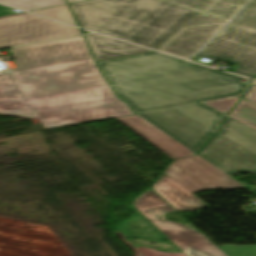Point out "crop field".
<instances>
[{"mask_svg":"<svg viewBox=\"0 0 256 256\" xmlns=\"http://www.w3.org/2000/svg\"><path fill=\"white\" fill-rule=\"evenodd\" d=\"M186 63L156 52L98 62L139 116L196 154L225 115L201 101L241 95L247 85L243 78ZM199 156L229 176L256 174V132L227 116Z\"/></svg>","mask_w":256,"mask_h":256,"instance_id":"8a807250","label":"crop field"},{"mask_svg":"<svg viewBox=\"0 0 256 256\" xmlns=\"http://www.w3.org/2000/svg\"><path fill=\"white\" fill-rule=\"evenodd\" d=\"M81 34L26 13L0 17V48ZM0 74V114L38 117L45 129L133 115L99 73L83 36L10 49Z\"/></svg>","mask_w":256,"mask_h":256,"instance_id":"ac0d7876","label":"crop field"},{"mask_svg":"<svg viewBox=\"0 0 256 256\" xmlns=\"http://www.w3.org/2000/svg\"><path fill=\"white\" fill-rule=\"evenodd\" d=\"M70 5L82 28L153 49L196 14L159 0H89Z\"/></svg>","mask_w":256,"mask_h":256,"instance_id":"34b2d1b8","label":"crop field"},{"mask_svg":"<svg viewBox=\"0 0 256 256\" xmlns=\"http://www.w3.org/2000/svg\"><path fill=\"white\" fill-rule=\"evenodd\" d=\"M196 57L227 61L239 66L233 73L254 78L256 32L231 23L192 59Z\"/></svg>","mask_w":256,"mask_h":256,"instance_id":"412701ff","label":"crop field"},{"mask_svg":"<svg viewBox=\"0 0 256 256\" xmlns=\"http://www.w3.org/2000/svg\"><path fill=\"white\" fill-rule=\"evenodd\" d=\"M132 205L181 250L190 248L206 256H228L201 232L189 229L182 224L156 219L149 210L162 209L171 212L175 210L150 189L137 198Z\"/></svg>","mask_w":256,"mask_h":256,"instance_id":"f4fd0767","label":"crop field"},{"mask_svg":"<svg viewBox=\"0 0 256 256\" xmlns=\"http://www.w3.org/2000/svg\"><path fill=\"white\" fill-rule=\"evenodd\" d=\"M184 167L188 168L190 171L195 173L197 176L202 178L204 181H206L216 189L222 187L215 184L211 180L223 186L224 188L222 189L242 188V186L234 181L232 178L218 171L213 166H211L206 161L196 155L174 162L171 166L168 167L167 171L165 172L192 193L209 190L212 187L197 176L191 174L190 171H188Z\"/></svg>","mask_w":256,"mask_h":256,"instance_id":"dd49c442","label":"crop field"},{"mask_svg":"<svg viewBox=\"0 0 256 256\" xmlns=\"http://www.w3.org/2000/svg\"><path fill=\"white\" fill-rule=\"evenodd\" d=\"M227 22L197 13L158 50L188 59Z\"/></svg>","mask_w":256,"mask_h":256,"instance_id":"e52e79f7","label":"crop field"},{"mask_svg":"<svg viewBox=\"0 0 256 256\" xmlns=\"http://www.w3.org/2000/svg\"><path fill=\"white\" fill-rule=\"evenodd\" d=\"M119 121L174 160L194 154L139 116L119 119Z\"/></svg>","mask_w":256,"mask_h":256,"instance_id":"d8731c3e","label":"crop field"},{"mask_svg":"<svg viewBox=\"0 0 256 256\" xmlns=\"http://www.w3.org/2000/svg\"><path fill=\"white\" fill-rule=\"evenodd\" d=\"M150 189L177 211H195L208 207L165 173Z\"/></svg>","mask_w":256,"mask_h":256,"instance_id":"5a996713","label":"crop field"},{"mask_svg":"<svg viewBox=\"0 0 256 256\" xmlns=\"http://www.w3.org/2000/svg\"><path fill=\"white\" fill-rule=\"evenodd\" d=\"M229 22L247 0H162Z\"/></svg>","mask_w":256,"mask_h":256,"instance_id":"3316defc","label":"crop field"},{"mask_svg":"<svg viewBox=\"0 0 256 256\" xmlns=\"http://www.w3.org/2000/svg\"><path fill=\"white\" fill-rule=\"evenodd\" d=\"M86 38L97 61L151 51L96 34L86 35Z\"/></svg>","mask_w":256,"mask_h":256,"instance_id":"28ad6ade","label":"crop field"},{"mask_svg":"<svg viewBox=\"0 0 256 256\" xmlns=\"http://www.w3.org/2000/svg\"><path fill=\"white\" fill-rule=\"evenodd\" d=\"M130 210L136 214L117 228L126 237L143 238L154 242H163L164 239L170 241L132 205Z\"/></svg>","mask_w":256,"mask_h":256,"instance_id":"d1516ede","label":"crop field"},{"mask_svg":"<svg viewBox=\"0 0 256 256\" xmlns=\"http://www.w3.org/2000/svg\"><path fill=\"white\" fill-rule=\"evenodd\" d=\"M228 116L256 131V105L242 99Z\"/></svg>","mask_w":256,"mask_h":256,"instance_id":"22f410ed","label":"crop field"},{"mask_svg":"<svg viewBox=\"0 0 256 256\" xmlns=\"http://www.w3.org/2000/svg\"><path fill=\"white\" fill-rule=\"evenodd\" d=\"M0 3L8 4L26 11L64 4V0H0Z\"/></svg>","mask_w":256,"mask_h":256,"instance_id":"cbeb9de0","label":"crop field"},{"mask_svg":"<svg viewBox=\"0 0 256 256\" xmlns=\"http://www.w3.org/2000/svg\"><path fill=\"white\" fill-rule=\"evenodd\" d=\"M33 13H37L46 17H50L56 20H60L66 23H70L73 25H76L74 22V19L68 9L67 4L65 5H59V6H55L52 8H47V9H38V10H34V11H30Z\"/></svg>","mask_w":256,"mask_h":256,"instance_id":"5142ce71","label":"crop field"},{"mask_svg":"<svg viewBox=\"0 0 256 256\" xmlns=\"http://www.w3.org/2000/svg\"><path fill=\"white\" fill-rule=\"evenodd\" d=\"M233 23L256 30V0H251Z\"/></svg>","mask_w":256,"mask_h":256,"instance_id":"d9b57169","label":"crop field"},{"mask_svg":"<svg viewBox=\"0 0 256 256\" xmlns=\"http://www.w3.org/2000/svg\"><path fill=\"white\" fill-rule=\"evenodd\" d=\"M220 248L229 256H256V246L238 247L224 245Z\"/></svg>","mask_w":256,"mask_h":256,"instance_id":"733c2abd","label":"crop field"},{"mask_svg":"<svg viewBox=\"0 0 256 256\" xmlns=\"http://www.w3.org/2000/svg\"><path fill=\"white\" fill-rule=\"evenodd\" d=\"M239 99H240V97H236V98L206 102V104L227 114L230 111V109L237 103V101Z\"/></svg>","mask_w":256,"mask_h":256,"instance_id":"4a817a6b","label":"crop field"},{"mask_svg":"<svg viewBox=\"0 0 256 256\" xmlns=\"http://www.w3.org/2000/svg\"><path fill=\"white\" fill-rule=\"evenodd\" d=\"M145 256H186L184 253H167L144 247H137Z\"/></svg>","mask_w":256,"mask_h":256,"instance_id":"bc2a9ffb","label":"crop field"},{"mask_svg":"<svg viewBox=\"0 0 256 256\" xmlns=\"http://www.w3.org/2000/svg\"><path fill=\"white\" fill-rule=\"evenodd\" d=\"M244 99L256 104V82L252 81V87L250 88Z\"/></svg>","mask_w":256,"mask_h":256,"instance_id":"214f88e0","label":"crop field"},{"mask_svg":"<svg viewBox=\"0 0 256 256\" xmlns=\"http://www.w3.org/2000/svg\"><path fill=\"white\" fill-rule=\"evenodd\" d=\"M118 238L125 244V246L133 253V256H142L133 246L131 243H127L124 240V237L122 234H120L119 232L116 233Z\"/></svg>","mask_w":256,"mask_h":256,"instance_id":"92a150f3","label":"crop field"},{"mask_svg":"<svg viewBox=\"0 0 256 256\" xmlns=\"http://www.w3.org/2000/svg\"><path fill=\"white\" fill-rule=\"evenodd\" d=\"M12 10L13 9H10V8L4 7V6H0V16L15 14V12H13Z\"/></svg>","mask_w":256,"mask_h":256,"instance_id":"dafd665d","label":"crop field"},{"mask_svg":"<svg viewBox=\"0 0 256 256\" xmlns=\"http://www.w3.org/2000/svg\"><path fill=\"white\" fill-rule=\"evenodd\" d=\"M187 256H204V255H202V254H200V253H198V252H196V251H194V250H190V249H188V250H186V251H183Z\"/></svg>","mask_w":256,"mask_h":256,"instance_id":"00972430","label":"crop field"},{"mask_svg":"<svg viewBox=\"0 0 256 256\" xmlns=\"http://www.w3.org/2000/svg\"><path fill=\"white\" fill-rule=\"evenodd\" d=\"M164 212H166V211H161V210L151 211V213H153L156 216V218L163 219V220H164V218H163Z\"/></svg>","mask_w":256,"mask_h":256,"instance_id":"a9b5d70f","label":"crop field"},{"mask_svg":"<svg viewBox=\"0 0 256 256\" xmlns=\"http://www.w3.org/2000/svg\"><path fill=\"white\" fill-rule=\"evenodd\" d=\"M68 3H71V2H77V1H83V0H67Z\"/></svg>","mask_w":256,"mask_h":256,"instance_id":"4177f3b9","label":"crop field"}]
</instances>
